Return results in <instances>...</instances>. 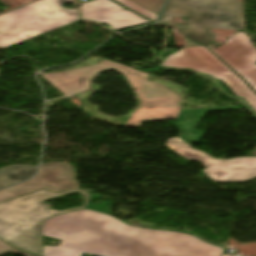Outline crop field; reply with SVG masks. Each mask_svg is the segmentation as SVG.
<instances>
[{"instance_id":"crop-field-1","label":"crop field","mask_w":256,"mask_h":256,"mask_svg":"<svg viewBox=\"0 0 256 256\" xmlns=\"http://www.w3.org/2000/svg\"><path fill=\"white\" fill-rule=\"evenodd\" d=\"M43 235L62 240L43 256H221L224 249L189 234L129 226L104 213L81 210L54 216Z\"/></svg>"},{"instance_id":"crop-field-2","label":"crop field","mask_w":256,"mask_h":256,"mask_svg":"<svg viewBox=\"0 0 256 256\" xmlns=\"http://www.w3.org/2000/svg\"><path fill=\"white\" fill-rule=\"evenodd\" d=\"M113 67L122 72L141 101L123 127L139 128L143 121L176 119L181 98L159 83L146 81L148 74L103 59L100 64L63 73L41 74L67 97L89 89V80L97 72ZM179 104V103H178Z\"/></svg>"},{"instance_id":"crop-field-3","label":"crop field","mask_w":256,"mask_h":256,"mask_svg":"<svg viewBox=\"0 0 256 256\" xmlns=\"http://www.w3.org/2000/svg\"><path fill=\"white\" fill-rule=\"evenodd\" d=\"M79 192L86 199L79 208L62 211L48 210L51 206L42 201ZM91 193L81 189L54 192L47 189L35 191L0 203V238L14 247L42 256V224L58 214L85 209Z\"/></svg>"},{"instance_id":"crop-field-4","label":"crop field","mask_w":256,"mask_h":256,"mask_svg":"<svg viewBox=\"0 0 256 256\" xmlns=\"http://www.w3.org/2000/svg\"><path fill=\"white\" fill-rule=\"evenodd\" d=\"M246 107H227L216 109H194L181 111L175 125L181 130L178 138H170L166 146L186 159L202 162L206 170L202 171L215 182H244L256 178V157L235 158L231 160L214 159L213 157L194 150L189 143L199 142L203 133L195 131L206 111L226 109H242ZM201 112L200 118L196 121Z\"/></svg>"},{"instance_id":"crop-field-5","label":"crop field","mask_w":256,"mask_h":256,"mask_svg":"<svg viewBox=\"0 0 256 256\" xmlns=\"http://www.w3.org/2000/svg\"><path fill=\"white\" fill-rule=\"evenodd\" d=\"M173 16H187V26L176 27H190L182 32L204 44L217 37L208 28L243 29L239 0H169L160 22L169 25Z\"/></svg>"},{"instance_id":"crop-field-6","label":"crop field","mask_w":256,"mask_h":256,"mask_svg":"<svg viewBox=\"0 0 256 256\" xmlns=\"http://www.w3.org/2000/svg\"><path fill=\"white\" fill-rule=\"evenodd\" d=\"M70 0H40L0 16V47L6 48L79 20Z\"/></svg>"},{"instance_id":"crop-field-7","label":"crop field","mask_w":256,"mask_h":256,"mask_svg":"<svg viewBox=\"0 0 256 256\" xmlns=\"http://www.w3.org/2000/svg\"><path fill=\"white\" fill-rule=\"evenodd\" d=\"M207 49L204 46L182 48L168 55L161 65L176 69H191L221 80L234 95L245 99L256 112V94L238 75Z\"/></svg>"},{"instance_id":"crop-field-8","label":"crop field","mask_w":256,"mask_h":256,"mask_svg":"<svg viewBox=\"0 0 256 256\" xmlns=\"http://www.w3.org/2000/svg\"><path fill=\"white\" fill-rule=\"evenodd\" d=\"M62 191L79 188L67 163L41 164L37 176L25 183L0 191V202L38 189Z\"/></svg>"},{"instance_id":"crop-field-9","label":"crop field","mask_w":256,"mask_h":256,"mask_svg":"<svg viewBox=\"0 0 256 256\" xmlns=\"http://www.w3.org/2000/svg\"><path fill=\"white\" fill-rule=\"evenodd\" d=\"M207 46L256 91V47L246 34L238 32L216 48Z\"/></svg>"},{"instance_id":"crop-field-10","label":"crop field","mask_w":256,"mask_h":256,"mask_svg":"<svg viewBox=\"0 0 256 256\" xmlns=\"http://www.w3.org/2000/svg\"><path fill=\"white\" fill-rule=\"evenodd\" d=\"M110 0H96L81 4L82 19H90L112 26L113 30L150 23Z\"/></svg>"},{"instance_id":"crop-field-11","label":"crop field","mask_w":256,"mask_h":256,"mask_svg":"<svg viewBox=\"0 0 256 256\" xmlns=\"http://www.w3.org/2000/svg\"><path fill=\"white\" fill-rule=\"evenodd\" d=\"M33 165H14L0 169V188L25 180L35 174Z\"/></svg>"},{"instance_id":"crop-field-12","label":"crop field","mask_w":256,"mask_h":256,"mask_svg":"<svg viewBox=\"0 0 256 256\" xmlns=\"http://www.w3.org/2000/svg\"><path fill=\"white\" fill-rule=\"evenodd\" d=\"M116 1H118L119 3L127 6L128 8H130V9L136 11L137 13H139L147 18H150L154 21H156V19L158 17V15L138 6L137 4L131 2L130 0H116Z\"/></svg>"},{"instance_id":"crop-field-13","label":"crop field","mask_w":256,"mask_h":256,"mask_svg":"<svg viewBox=\"0 0 256 256\" xmlns=\"http://www.w3.org/2000/svg\"><path fill=\"white\" fill-rule=\"evenodd\" d=\"M138 5L159 14L165 0H131Z\"/></svg>"},{"instance_id":"crop-field-14","label":"crop field","mask_w":256,"mask_h":256,"mask_svg":"<svg viewBox=\"0 0 256 256\" xmlns=\"http://www.w3.org/2000/svg\"><path fill=\"white\" fill-rule=\"evenodd\" d=\"M101 195L97 194V193H93L91 198H90V201H89V204L87 206L88 209H92V210H96V211H100V212H104L106 214H110L109 212V208L110 206L108 205H91L92 201L93 200H99Z\"/></svg>"},{"instance_id":"crop-field-15","label":"crop field","mask_w":256,"mask_h":256,"mask_svg":"<svg viewBox=\"0 0 256 256\" xmlns=\"http://www.w3.org/2000/svg\"><path fill=\"white\" fill-rule=\"evenodd\" d=\"M8 251H11L13 253H16V254H19V255H23V256H31L30 253H24L22 251H19V250L15 249V248L5 244L4 242H2L0 240V254L6 253Z\"/></svg>"},{"instance_id":"crop-field-16","label":"crop field","mask_w":256,"mask_h":256,"mask_svg":"<svg viewBox=\"0 0 256 256\" xmlns=\"http://www.w3.org/2000/svg\"><path fill=\"white\" fill-rule=\"evenodd\" d=\"M222 256H230V255H225V254H223Z\"/></svg>"},{"instance_id":"crop-field-17","label":"crop field","mask_w":256,"mask_h":256,"mask_svg":"<svg viewBox=\"0 0 256 256\" xmlns=\"http://www.w3.org/2000/svg\"><path fill=\"white\" fill-rule=\"evenodd\" d=\"M32 256H36V255H33V254H32Z\"/></svg>"}]
</instances>
